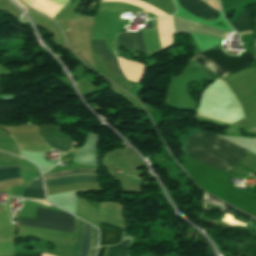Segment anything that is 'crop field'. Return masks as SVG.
<instances>
[{
	"instance_id": "crop-field-5",
	"label": "crop field",
	"mask_w": 256,
	"mask_h": 256,
	"mask_svg": "<svg viewBox=\"0 0 256 256\" xmlns=\"http://www.w3.org/2000/svg\"><path fill=\"white\" fill-rule=\"evenodd\" d=\"M172 18H173L175 32H197L202 34H210L223 39L228 34L227 32L221 29L196 24L180 18L173 17V16Z\"/></svg>"
},
{
	"instance_id": "crop-field-7",
	"label": "crop field",
	"mask_w": 256,
	"mask_h": 256,
	"mask_svg": "<svg viewBox=\"0 0 256 256\" xmlns=\"http://www.w3.org/2000/svg\"><path fill=\"white\" fill-rule=\"evenodd\" d=\"M93 51L113 73L118 75L124 81L126 80L118 66L116 57L109 51L104 40H93Z\"/></svg>"
},
{
	"instance_id": "crop-field-2",
	"label": "crop field",
	"mask_w": 256,
	"mask_h": 256,
	"mask_svg": "<svg viewBox=\"0 0 256 256\" xmlns=\"http://www.w3.org/2000/svg\"><path fill=\"white\" fill-rule=\"evenodd\" d=\"M212 49H209L200 54L207 57L208 59L218 64L219 66H221L222 68H224L232 74L251 66L253 56V54L251 53L244 52L240 57H230L227 56L221 50V48H217L214 50ZM200 54L196 55L192 60L211 69L212 71H214L222 77L231 75L229 72L225 71L224 69H222L221 67L214 64L213 62H211L210 60H208Z\"/></svg>"
},
{
	"instance_id": "crop-field-10",
	"label": "crop field",
	"mask_w": 256,
	"mask_h": 256,
	"mask_svg": "<svg viewBox=\"0 0 256 256\" xmlns=\"http://www.w3.org/2000/svg\"><path fill=\"white\" fill-rule=\"evenodd\" d=\"M117 38L120 44L130 49L142 51L147 54L140 30L135 33H121L117 36Z\"/></svg>"
},
{
	"instance_id": "crop-field-3",
	"label": "crop field",
	"mask_w": 256,
	"mask_h": 256,
	"mask_svg": "<svg viewBox=\"0 0 256 256\" xmlns=\"http://www.w3.org/2000/svg\"><path fill=\"white\" fill-rule=\"evenodd\" d=\"M35 219L74 225V218L68 213L49 211V210H44L39 208H37ZM38 220L20 218L19 225L33 226V227L74 233V226L44 222V221H38Z\"/></svg>"
},
{
	"instance_id": "crop-field-22",
	"label": "crop field",
	"mask_w": 256,
	"mask_h": 256,
	"mask_svg": "<svg viewBox=\"0 0 256 256\" xmlns=\"http://www.w3.org/2000/svg\"><path fill=\"white\" fill-rule=\"evenodd\" d=\"M253 60L256 61V47H254V57H253Z\"/></svg>"
},
{
	"instance_id": "crop-field-21",
	"label": "crop field",
	"mask_w": 256,
	"mask_h": 256,
	"mask_svg": "<svg viewBox=\"0 0 256 256\" xmlns=\"http://www.w3.org/2000/svg\"><path fill=\"white\" fill-rule=\"evenodd\" d=\"M25 4H27L28 6L31 4L32 0H23Z\"/></svg>"
},
{
	"instance_id": "crop-field-25",
	"label": "crop field",
	"mask_w": 256,
	"mask_h": 256,
	"mask_svg": "<svg viewBox=\"0 0 256 256\" xmlns=\"http://www.w3.org/2000/svg\"><path fill=\"white\" fill-rule=\"evenodd\" d=\"M143 13H149V12H146V11L143 10Z\"/></svg>"
},
{
	"instance_id": "crop-field-14",
	"label": "crop field",
	"mask_w": 256,
	"mask_h": 256,
	"mask_svg": "<svg viewBox=\"0 0 256 256\" xmlns=\"http://www.w3.org/2000/svg\"><path fill=\"white\" fill-rule=\"evenodd\" d=\"M43 139L50 145V147H53L61 152L67 153L71 150L73 147V143L67 140L63 139H52V138H45ZM63 153V154H64Z\"/></svg>"
},
{
	"instance_id": "crop-field-24",
	"label": "crop field",
	"mask_w": 256,
	"mask_h": 256,
	"mask_svg": "<svg viewBox=\"0 0 256 256\" xmlns=\"http://www.w3.org/2000/svg\"><path fill=\"white\" fill-rule=\"evenodd\" d=\"M253 132H256V128H255V129H253Z\"/></svg>"
},
{
	"instance_id": "crop-field-20",
	"label": "crop field",
	"mask_w": 256,
	"mask_h": 256,
	"mask_svg": "<svg viewBox=\"0 0 256 256\" xmlns=\"http://www.w3.org/2000/svg\"><path fill=\"white\" fill-rule=\"evenodd\" d=\"M16 2H17V4L19 5V6H21L25 11L27 10V8L26 7H24L20 2H19V0H15Z\"/></svg>"
},
{
	"instance_id": "crop-field-17",
	"label": "crop field",
	"mask_w": 256,
	"mask_h": 256,
	"mask_svg": "<svg viewBox=\"0 0 256 256\" xmlns=\"http://www.w3.org/2000/svg\"><path fill=\"white\" fill-rule=\"evenodd\" d=\"M27 188H39L44 189L42 181H32Z\"/></svg>"
},
{
	"instance_id": "crop-field-23",
	"label": "crop field",
	"mask_w": 256,
	"mask_h": 256,
	"mask_svg": "<svg viewBox=\"0 0 256 256\" xmlns=\"http://www.w3.org/2000/svg\"><path fill=\"white\" fill-rule=\"evenodd\" d=\"M0 136H4V137H10V136H5V135H0Z\"/></svg>"
},
{
	"instance_id": "crop-field-19",
	"label": "crop field",
	"mask_w": 256,
	"mask_h": 256,
	"mask_svg": "<svg viewBox=\"0 0 256 256\" xmlns=\"http://www.w3.org/2000/svg\"><path fill=\"white\" fill-rule=\"evenodd\" d=\"M3 87H4V84H3V82H2L1 79H0V94H2V89H3Z\"/></svg>"
},
{
	"instance_id": "crop-field-9",
	"label": "crop field",
	"mask_w": 256,
	"mask_h": 256,
	"mask_svg": "<svg viewBox=\"0 0 256 256\" xmlns=\"http://www.w3.org/2000/svg\"><path fill=\"white\" fill-rule=\"evenodd\" d=\"M76 221V242L72 256H77L82 240L84 222L75 218ZM91 226L85 224L84 235L82 240L81 249L78 256H86L89 240H90Z\"/></svg>"
},
{
	"instance_id": "crop-field-8",
	"label": "crop field",
	"mask_w": 256,
	"mask_h": 256,
	"mask_svg": "<svg viewBox=\"0 0 256 256\" xmlns=\"http://www.w3.org/2000/svg\"><path fill=\"white\" fill-rule=\"evenodd\" d=\"M100 246L115 245L120 243L124 236V230L112 225L99 222Z\"/></svg>"
},
{
	"instance_id": "crop-field-1",
	"label": "crop field",
	"mask_w": 256,
	"mask_h": 256,
	"mask_svg": "<svg viewBox=\"0 0 256 256\" xmlns=\"http://www.w3.org/2000/svg\"><path fill=\"white\" fill-rule=\"evenodd\" d=\"M186 154L228 172L247 150L200 131L185 141Z\"/></svg>"
},
{
	"instance_id": "crop-field-11",
	"label": "crop field",
	"mask_w": 256,
	"mask_h": 256,
	"mask_svg": "<svg viewBox=\"0 0 256 256\" xmlns=\"http://www.w3.org/2000/svg\"><path fill=\"white\" fill-rule=\"evenodd\" d=\"M36 10H39L49 17H53L61 8V6L49 1V0H33L30 6Z\"/></svg>"
},
{
	"instance_id": "crop-field-4",
	"label": "crop field",
	"mask_w": 256,
	"mask_h": 256,
	"mask_svg": "<svg viewBox=\"0 0 256 256\" xmlns=\"http://www.w3.org/2000/svg\"><path fill=\"white\" fill-rule=\"evenodd\" d=\"M97 173H98V170H72L67 172L46 174V175H43V177L44 179H47V178H54V177L69 176L74 174L97 175ZM93 175H79V176H72V177H66V178H60V179L47 180L44 182L46 184V187L65 184V183H71V182H81V181L98 182L97 176H93Z\"/></svg>"
},
{
	"instance_id": "crop-field-15",
	"label": "crop field",
	"mask_w": 256,
	"mask_h": 256,
	"mask_svg": "<svg viewBox=\"0 0 256 256\" xmlns=\"http://www.w3.org/2000/svg\"><path fill=\"white\" fill-rule=\"evenodd\" d=\"M19 177V166L0 168V181Z\"/></svg>"
},
{
	"instance_id": "crop-field-26",
	"label": "crop field",
	"mask_w": 256,
	"mask_h": 256,
	"mask_svg": "<svg viewBox=\"0 0 256 256\" xmlns=\"http://www.w3.org/2000/svg\"><path fill=\"white\" fill-rule=\"evenodd\" d=\"M220 1H223V0H220Z\"/></svg>"
},
{
	"instance_id": "crop-field-12",
	"label": "crop field",
	"mask_w": 256,
	"mask_h": 256,
	"mask_svg": "<svg viewBox=\"0 0 256 256\" xmlns=\"http://www.w3.org/2000/svg\"><path fill=\"white\" fill-rule=\"evenodd\" d=\"M231 25L233 26V28L236 30L237 33L252 30L250 25L249 13L242 10L239 18L235 22H233ZM251 32L253 31L245 32V33H251ZM245 33H240V35Z\"/></svg>"
},
{
	"instance_id": "crop-field-13",
	"label": "crop field",
	"mask_w": 256,
	"mask_h": 256,
	"mask_svg": "<svg viewBox=\"0 0 256 256\" xmlns=\"http://www.w3.org/2000/svg\"><path fill=\"white\" fill-rule=\"evenodd\" d=\"M128 242H122L116 246H111L107 256H126ZM109 247H100L96 256H105Z\"/></svg>"
},
{
	"instance_id": "crop-field-6",
	"label": "crop field",
	"mask_w": 256,
	"mask_h": 256,
	"mask_svg": "<svg viewBox=\"0 0 256 256\" xmlns=\"http://www.w3.org/2000/svg\"><path fill=\"white\" fill-rule=\"evenodd\" d=\"M178 3L186 11L207 21H212L219 16L217 10L209 7L201 0H178Z\"/></svg>"
},
{
	"instance_id": "crop-field-16",
	"label": "crop field",
	"mask_w": 256,
	"mask_h": 256,
	"mask_svg": "<svg viewBox=\"0 0 256 256\" xmlns=\"http://www.w3.org/2000/svg\"><path fill=\"white\" fill-rule=\"evenodd\" d=\"M22 197H25V198H36V199H45V193H44V190L26 189ZM36 199H33V200H36ZM36 201L49 205L46 202V200H36Z\"/></svg>"
},
{
	"instance_id": "crop-field-18",
	"label": "crop field",
	"mask_w": 256,
	"mask_h": 256,
	"mask_svg": "<svg viewBox=\"0 0 256 256\" xmlns=\"http://www.w3.org/2000/svg\"><path fill=\"white\" fill-rule=\"evenodd\" d=\"M14 256H41V254H31V255H18V254H15Z\"/></svg>"
}]
</instances>
